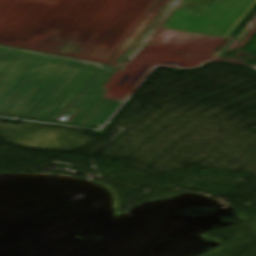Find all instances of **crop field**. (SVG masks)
<instances>
[{"label":"crop field","instance_id":"8a807250","mask_svg":"<svg viewBox=\"0 0 256 256\" xmlns=\"http://www.w3.org/2000/svg\"><path fill=\"white\" fill-rule=\"evenodd\" d=\"M111 67L0 46V115L93 127L118 101L101 98ZM71 112L66 121H60Z\"/></svg>","mask_w":256,"mask_h":256},{"label":"crop field","instance_id":"ac0d7876","mask_svg":"<svg viewBox=\"0 0 256 256\" xmlns=\"http://www.w3.org/2000/svg\"><path fill=\"white\" fill-rule=\"evenodd\" d=\"M182 1L171 0L150 26L228 38L256 5V0H222L204 3L194 12L177 8ZM255 24L256 15L236 38L243 39Z\"/></svg>","mask_w":256,"mask_h":256},{"label":"crop field","instance_id":"34b2d1b8","mask_svg":"<svg viewBox=\"0 0 256 256\" xmlns=\"http://www.w3.org/2000/svg\"><path fill=\"white\" fill-rule=\"evenodd\" d=\"M204 1L219 3L221 0H184L179 7L197 11Z\"/></svg>","mask_w":256,"mask_h":256}]
</instances>
